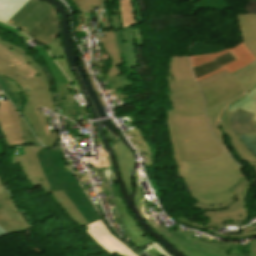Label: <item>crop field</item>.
<instances>
[{"mask_svg":"<svg viewBox=\"0 0 256 256\" xmlns=\"http://www.w3.org/2000/svg\"><path fill=\"white\" fill-rule=\"evenodd\" d=\"M168 98L172 106L175 140L180 161H199L224 153L208 129L203 96L193 78L172 81L171 61Z\"/></svg>","mask_w":256,"mask_h":256,"instance_id":"crop-field-1","label":"crop field"},{"mask_svg":"<svg viewBox=\"0 0 256 256\" xmlns=\"http://www.w3.org/2000/svg\"><path fill=\"white\" fill-rule=\"evenodd\" d=\"M181 165L190 196L203 203H217L234 196L228 189L244 173L226 153L206 161L181 162Z\"/></svg>","mask_w":256,"mask_h":256,"instance_id":"crop-field-2","label":"crop field"},{"mask_svg":"<svg viewBox=\"0 0 256 256\" xmlns=\"http://www.w3.org/2000/svg\"><path fill=\"white\" fill-rule=\"evenodd\" d=\"M198 84L204 94L206 118L215 138L235 161L244 167L226 146L218 120L231 104L244 97L246 92L256 85V60L231 74L224 70Z\"/></svg>","mask_w":256,"mask_h":256,"instance_id":"crop-field-3","label":"crop field"},{"mask_svg":"<svg viewBox=\"0 0 256 256\" xmlns=\"http://www.w3.org/2000/svg\"><path fill=\"white\" fill-rule=\"evenodd\" d=\"M36 155L53 192L62 189L86 222L90 223L101 218L74 174L64 171L60 150L54 151L42 148Z\"/></svg>","mask_w":256,"mask_h":256,"instance_id":"crop-field-4","label":"crop field"},{"mask_svg":"<svg viewBox=\"0 0 256 256\" xmlns=\"http://www.w3.org/2000/svg\"><path fill=\"white\" fill-rule=\"evenodd\" d=\"M250 186L251 183L244 174L241 181L234 188L230 189L236 194L233 198L217 204L194 203L192 206L204 211L205 213L202 216L209 218V221L205 225L196 221L192 223L180 217L175 220L206 232H212L211 229H221L227 225L240 226L248 217L246 200L249 195Z\"/></svg>","mask_w":256,"mask_h":256,"instance_id":"crop-field-5","label":"crop field"},{"mask_svg":"<svg viewBox=\"0 0 256 256\" xmlns=\"http://www.w3.org/2000/svg\"><path fill=\"white\" fill-rule=\"evenodd\" d=\"M133 202L136 205L139 214L148 223V225L185 256H236L238 241H231L227 243L213 242L211 245H208L197 240L198 242L195 244L186 238L193 233V231L189 230L188 232L181 234L170 228L166 229L162 225L155 227L142 207L150 204H147L140 188L135 192ZM250 252L251 256H256V239H250Z\"/></svg>","mask_w":256,"mask_h":256,"instance_id":"crop-field-6","label":"crop field"},{"mask_svg":"<svg viewBox=\"0 0 256 256\" xmlns=\"http://www.w3.org/2000/svg\"><path fill=\"white\" fill-rule=\"evenodd\" d=\"M25 155L12 157L11 164L18 163L21 167L24 175L32 184L33 187L40 186L45 194L51 192L43 173L40 169L38 160L35 153L39 151L42 147L40 146H28L22 147ZM52 193V192H51ZM58 204L65 210V212L74 220V222L79 226L88 224L84 221L79 212L71 204L62 190L52 193Z\"/></svg>","mask_w":256,"mask_h":256,"instance_id":"crop-field-7","label":"crop field"},{"mask_svg":"<svg viewBox=\"0 0 256 256\" xmlns=\"http://www.w3.org/2000/svg\"><path fill=\"white\" fill-rule=\"evenodd\" d=\"M111 191L114 197V203L117 207L118 213L122 220V223L128 233L129 242L132 243L135 247L140 245L150 243L161 255L163 256H172L170 255L163 247L152 241L144 234L141 229L138 227L136 222L130 216L125 204L124 200L119 192L117 182L110 185ZM131 244V245H132Z\"/></svg>","mask_w":256,"mask_h":256,"instance_id":"crop-field-8","label":"crop field"},{"mask_svg":"<svg viewBox=\"0 0 256 256\" xmlns=\"http://www.w3.org/2000/svg\"><path fill=\"white\" fill-rule=\"evenodd\" d=\"M54 8L40 0H29L8 22L26 35Z\"/></svg>","mask_w":256,"mask_h":256,"instance_id":"crop-field-9","label":"crop field"},{"mask_svg":"<svg viewBox=\"0 0 256 256\" xmlns=\"http://www.w3.org/2000/svg\"><path fill=\"white\" fill-rule=\"evenodd\" d=\"M85 234L111 256L116 253L120 256H139L116 239L104 226V222L102 220H98L87 225L85 228Z\"/></svg>","mask_w":256,"mask_h":256,"instance_id":"crop-field-10","label":"crop field"},{"mask_svg":"<svg viewBox=\"0 0 256 256\" xmlns=\"http://www.w3.org/2000/svg\"><path fill=\"white\" fill-rule=\"evenodd\" d=\"M114 35L124 64L126 65L128 72L131 74L132 80H135L136 78L131 67L138 66L135 48L143 45L141 29L140 27L136 29L127 27L119 32H114Z\"/></svg>","mask_w":256,"mask_h":256,"instance_id":"crop-field-11","label":"crop field"},{"mask_svg":"<svg viewBox=\"0 0 256 256\" xmlns=\"http://www.w3.org/2000/svg\"><path fill=\"white\" fill-rule=\"evenodd\" d=\"M1 93L0 98L5 97ZM5 99L0 101V132L8 147L23 145L16 110L6 97Z\"/></svg>","mask_w":256,"mask_h":256,"instance_id":"crop-field-12","label":"crop field"},{"mask_svg":"<svg viewBox=\"0 0 256 256\" xmlns=\"http://www.w3.org/2000/svg\"><path fill=\"white\" fill-rule=\"evenodd\" d=\"M231 51L235 57L238 59L234 62H231L225 66H223L224 68L218 70V71H215L211 74H208L204 77H201L199 79H197L196 81H199L201 79H204L206 77H209L211 75H214L224 69H226L229 73L232 72V71H235L237 69H240L248 64H250L253 60H255L256 58L250 53V51L247 49V47L244 45V43H239L237 44L236 46L232 47V48H229L227 50H224L218 54H211V55H201V56H190L191 58V63H192V68L193 67H196V66H199V65H202L204 63H207V62H210V61H213L212 59L221 55V54H224L226 52H229Z\"/></svg>","mask_w":256,"mask_h":256,"instance_id":"crop-field-13","label":"crop field"},{"mask_svg":"<svg viewBox=\"0 0 256 256\" xmlns=\"http://www.w3.org/2000/svg\"><path fill=\"white\" fill-rule=\"evenodd\" d=\"M26 94L30 98V100L35 108V111L37 113V116H38L39 120L41 121L44 131L46 133V135L40 136V137H38V139L41 141L42 144L46 145L47 147H52L53 142L58 140L57 131L48 133V123H47V121H44V118H47V117L38 113V111H37V109L42 106L54 111L50 96H49L47 90L30 92V93H26Z\"/></svg>","mask_w":256,"mask_h":256,"instance_id":"crop-field-14","label":"crop field"},{"mask_svg":"<svg viewBox=\"0 0 256 256\" xmlns=\"http://www.w3.org/2000/svg\"><path fill=\"white\" fill-rule=\"evenodd\" d=\"M0 74L14 79L25 92L46 89L39 76L26 79L10 62L0 56Z\"/></svg>","mask_w":256,"mask_h":256,"instance_id":"crop-field-15","label":"crop field"},{"mask_svg":"<svg viewBox=\"0 0 256 256\" xmlns=\"http://www.w3.org/2000/svg\"><path fill=\"white\" fill-rule=\"evenodd\" d=\"M112 149L118 161L120 175L123 179L126 189L128 193H131L132 186L130 182V172L134 166L135 156L121 141H118L115 145H113Z\"/></svg>","mask_w":256,"mask_h":256,"instance_id":"crop-field-16","label":"crop field"},{"mask_svg":"<svg viewBox=\"0 0 256 256\" xmlns=\"http://www.w3.org/2000/svg\"><path fill=\"white\" fill-rule=\"evenodd\" d=\"M0 208V227L7 233L30 229L24 216L20 212H13L2 199Z\"/></svg>","mask_w":256,"mask_h":256,"instance_id":"crop-field-17","label":"crop field"},{"mask_svg":"<svg viewBox=\"0 0 256 256\" xmlns=\"http://www.w3.org/2000/svg\"><path fill=\"white\" fill-rule=\"evenodd\" d=\"M232 113L224 112L219 120V125L223 132H225L236 152V154L256 172V157L249 152V150L241 143L240 139L236 137L229 128L228 120Z\"/></svg>","mask_w":256,"mask_h":256,"instance_id":"crop-field-18","label":"crop field"},{"mask_svg":"<svg viewBox=\"0 0 256 256\" xmlns=\"http://www.w3.org/2000/svg\"><path fill=\"white\" fill-rule=\"evenodd\" d=\"M241 39L256 57V14H237Z\"/></svg>","mask_w":256,"mask_h":256,"instance_id":"crop-field-19","label":"crop field"},{"mask_svg":"<svg viewBox=\"0 0 256 256\" xmlns=\"http://www.w3.org/2000/svg\"><path fill=\"white\" fill-rule=\"evenodd\" d=\"M107 26H108L109 31L104 32L106 37L99 38V41L103 45L106 53L109 55V57L111 59V62H112L111 68H110L106 77L120 74V73L117 72L118 69H116L115 66L123 64L121 56L118 52L116 40H115V37L113 35V30H112L109 23H107Z\"/></svg>","mask_w":256,"mask_h":256,"instance_id":"crop-field-20","label":"crop field"},{"mask_svg":"<svg viewBox=\"0 0 256 256\" xmlns=\"http://www.w3.org/2000/svg\"><path fill=\"white\" fill-rule=\"evenodd\" d=\"M253 115L254 114L243 111L239 108L233 112L229 123L233 133L236 136L256 131L252 124Z\"/></svg>","mask_w":256,"mask_h":256,"instance_id":"crop-field-21","label":"crop field"},{"mask_svg":"<svg viewBox=\"0 0 256 256\" xmlns=\"http://www.w3.org/2000/svg\"><path fill=\"white\" fill-rule=\"evenodd\" d=\"M45 48L52 55V57L55 59L58 65L65 72V74L68 76V78L70 79V81L72 82L76 90L78 91V93L81 94L82 92L78 85V82L68 70L67 61L65 59L62 47L60 45V36L52 40L48 45L45 46Z\"/></svg>","mask_w":256,"mask_h":256,"instance_id":"crop-field-22","label":"crop field"},{"mask_svg":"<svg viewBox=\"0 0 256 256\" xmlns=\"http://www.w3.org/2000/svg\"><path fill=\"white\" fill-rule=\"evenodd\" d=\"M0 42H2L3 44H5L9 48H11L13 51H15L23 60L27 61L30 65H32L38 71V73L43 78V80H44V82H45V84H46V86L48 88V91L50 93V96L52 98V101L54 103L53 91H52V88H51V84H50L49 78L46 75L45 70L40 65V63L36 59H34L28 52H26L25 50H23V49L15 46V45L7 42L2 37H0Z\"/></svg>","mask_w":256,"mask_h":256,"instance_id":"crop-field-23","label":"crop field"},{"mask_svg":"<svg viewBox=\"0 0 256 256\" xmlns=\"http://www.w3.org/2000/svg\"><path fill=\"white\" fill-rule=\"evenodd\" d=\"M214 60L215 61H213V62L193 68L192 72H193L195 79L222 68L221 66H223L231 61L236 60V58L233 56V54L231 52H229V53L224 54Z\"/></svg>","mask_w":256,"mask_h":256,"instance_id":"crop-field-24","label":"crop field"},{"mask_svg":"<svg viewBox=\"0 0 256 256\" xmlns=\"http://www.w3.org/2000/svg\"><path fill=\"white\" fill-rule=\"evenodd\" d=\"M0 54L10 61L26 78L38 75L32 67L23 62L15 53L1 44Z\"/></svg>","mask_w":256,"mask_h":256,"instance_id":"crop-field-25","label":"crop field"},{"mask_svg":"<svg viewBox=\"0 0 256 256\" xmlns=\"http://www.w3.org/2000/svg\"><path fill=\"white\" fill-rule=\"evenodd\" d=\"M24 96L27 100V103L23 104V111H21L22 117L25 119V121L29 124V126L32 128L34 134L36 137L45 134L43 131V128L34 112V108L29 101V98L24 93Z\"/></svg>","mask_w":256,"mask_h":256,"instance_id":"crop-field-26","label":"crop field"},{"mask_svg":"<svg viewBox=\"0 0 256 256\" xmlns=\"http://www.w3.org/2000/svg\"><path fill=\"white\" fill-rule=\"evenodd\" d=\"M125 135H132L133 138L129 139L134 146L137 145V147L140 148L143 155L146 157L147 164H145V167L148 168L151 165H153V160L151 156V151L149 146L146 143V140L139 128L125 132Z\"/></svg>","mask_w":256,"mask_h":256,"instance_id":"crop-field-27","label":"crop field"},{"mask_svg":"<svg viewBox=\"0 0 256 256\" xmlns=\"http://www.w3.org/2000/svg\"><path fill=\"white\" fill-rule=\"evenodd\" d=\"M38 54L44 59V61L46 62L55 85L58 84H64V83H68L69 80L65 77V75L62 73V71L58 68V66L54 63V61L52 60V58L49 56V54L47 53L46 50H44L42 47L38 46L36 48H34Z\"/></svg>","mask_w":256,"mask_h":256,"instance_id":"crop-field-28","label":"crop field"},{"mask_svg":"<svg viewBox=\"0 0 256 256\" xmlns=\"http://www.w3.org/2000/svg\"><path fill=\"white\" fill-rule=\"evenodd\" d=\"M172 77H173V80L193 77L190 71L188 56L173 58Z\"/></svg>","mask_w":256,"mask_h":256,"instance_id":"crop-field-29","label":"crop field"},{"mask_svg":"<svg viewBox=\"0 0 256 256\" xmlns=\"http://www.w3.org/2000/svg\"><path fill=\"white\" fill-rule=\"evenodd\" d=\"M28 0H0V20L6 23Z\"/></svg>","mask_w":256,"mask_h":256,"instance_id":"crop-field-30","label":"crop field"},{"mask_svg":"<svg viewBox=\"0 0 256 256\" xmlns=\"http://www.w3.org/2000/svg\"><path fill=\"white\" fill-rule=\"evenodd\" d=\"M254 97H256V86L248 91L243 99L230 106L227 111L233 112L239 107L243 110L255 113L253 121H256V100L253 99Z\"/></svg>","mask_w":256,"mask_h":256,"instance_id":"crop-field-31","label":"crop field"},{"mask_svg":"<svg viewBox=\"0 0 256 256\" xmlns=\"http://www.w3.org/2000/svg\"><path fill=\"white\" fill-rule=\"evenodd\" d=\"M57 35H59L58 17L50 25H48L34 40L44 47Z\"/></svg>","mask_w":256,"mask_h":256,"instance_id":"crop-field-32","label":"crop field"},{"mask_svg":"<svg viewBox=\"0 0 256 256\" xmlns=\"http://www.w3.org/2000/svg\"><path fill=\"white\" fill-rule=\"evenodd\" d=\"M119 8L121 12V18L123 26H132L135 24L132 7L129 0H119Z\"/></svg>","mask_w":256,"mask_h":256,"instance_id":"crop-field-33","label":"crop field"},{"mask_svg":"<svg viewBox=\"0 0 256 256\" xmlns=\"http://www.w3.org/2000/svg\"><path fill=\"white\" fill-rule=\"evenodd\" d=\"M56 17H57V14H56V10L54 9L27 36L34 39Z\"/></svg>","mask_w":256,"mask_h":256,"instance_id":"crop-field-34","label":"crop field"},{"mask_svg":"<svg viewBox=\"0 0 256 256\" xmlns=\"http://www.w3.org/2000/svg\"><path fill=\"white\" fill-rule=\"evenodd\" d=\"M55 90H56L57 102L69 100L70 103H74L73 101H75V100H74L73 96L71 95L66 84L55 86ZM62 111H63V109H62ZM63 115L66 116L64 111H63Z\"/></svg>","mask_w":256,"mask_h":256,"instance_id":"crop-field-35","label":"crop field"},{"mask_svg":"<svg viewBox=\"0 0 256 256\" xmlns=\"http://www.w3.org/2000/svg\"><path fill=\"white\" fill-rule=\"evenodd\" d=\"M170 111H167V126L169 128L171 144H172V148H173V152H174V158H175V160L178 164V175H179V178H183V175H182V172H181V166H180V163H179L177 148H176L175 141H174V132H173V126H172V119H171Z\"/></svg>","mask_w":256,"mask_h":256,"instance_id":"crop-field-36","label":"crop field"},{"mask_svg":"<svg viewBox=\"0 0 256 256\" xmlns=\"http://www.w3.org/2000/svg\"><path fill=\"white\" fill-rule=\"evenodd\" d=\"M0 86L7 97L12 101V103L17 107L18 111L22 110V103L19 95H12L9 87L7 86L3 77L0 76Z\"/></svg>","mask_w":256,"mask_h":256,"instance_id":"crop-field-37","label":"crop field"},{"mask_svg":"<svg viewBox=\"0 0 256 256\" xmlns=\"http://www.w3.org/2000/svg\"><path fill=\"white\" fill-rule=\"evenodd\" d=\"M18 113V112H17ZM18 118H19V123H20V127H21V132H22V137H23V142L25 143H31V142H36L39 143L35 137L33 136V134L30 132V130L28 129L27 125L25 124V122L22 120V118L19 116L18 114ZM40 144V143H39Z\"/></svg>","mask_w":256,"mask_h":256,"instance_id":"crop-field-38","label":"crop field"},{"mask_svg":"<svg viewBox=\"0 0 256 256\" xmlns=\"http://www.w3.org/2000/svg\"><path fill=\"white\" fill-rule=\"evenodd\" d=\"M242 143L256 155V132L239 137Z\"/></svg>","mask_w":256,"mask_h":256,"instance_id":"crop-field-39","label":"crop field"},{"mask_svg":"<svg viewBox=\"0 0 256 256\" xmlns=\"http://www.w3.org/2000/svg\"><path fill=\"white\" fill-rule=\"evenodd\" d=\"M226 238H245V237H252L256 236V224L246 227L241 230V235H226V234H214Z\"/></svg>","mask_w":256,"mask_h":256,"instance_id":"crop-field-40","label":"crop field"},{"mask_svg":"<svg viewBox=\"0 0 256 256\" xmlns=\"http://www.w3.org/2000/svg\"><path fill=\"white\" fill-rule=\"evenodd\" d=\"M67 4H69L71 1L78 7L80 13H87L91 12V8L87 2V0H65ZM70 7V6H69ZM72 12L74 11V8L70 7ZM74 13V12H73Z\"/></svg>","mask_w":256,"mask_h":256,"instance_id":"crop-field-41","label":"crop field"},{"mask_svg":"<svg viewBox=\"0 0 256 256\" xmlns=\"http://www.w3.org/2000/svg\"><path fill=\"white\" fill-rule=\"evenodd\" d=\"M0 198H2L13 211H18L12 198L7 193L0 178Z\"/></svg>","mask_w":256,"mask_h":256,"instance_id":"crop-field-42","label":"crop field"},{"mask_svg":"<svg viewBox=\"0 0 256 256\" xmlns=\"http://www.w3.org/2000/svg\"><path fill=\"white\" fill-rule=\"evenodd\" d=\"M61 104H62L67 116H71V115L77 116V115H79L78 112L76 111V109L73 107V105L72 104L70 105L68 101L62 102Z\"/></svg>","mask_w":256,"mask_h":256,"instance_id":"crop-field-43","label":"crop field"},{"mask_svg":"<svg viewBox=\"0 0 256 256\" xmlns=\"http://www.w3.org/2000/svg\"><path fill=\"white\" fill-rule=\"evenodd\" d=\"M111 19H112L111 25L113 26L115 31L123 28L120 16L111 17Z\"/></svg>","mask_w":256,"mask_h":256,"instance_id":"crop-field-44","label":"crop field"},{"mask_svg":"<svg viewBox=\"0 0 256 256\" xmlns=\"http://www.w3.org/2000/svg\"><path fill=\"white\" fill-rule=\"evenodd\" d=\"M5 79H6V81H7V83H8V85H9V87H10V89H11L13 94L23 93L15 82H13V81H11V80H9L7 78H5Z\"/></svg>","mask_w":256,"mask_h":256,"instance_id":"crop-field-45","label":"crop field"},{"mask_svg":"<svg viewBox=\"0 0 256 256\" xmlns=\"http://www.w3.org/2000/svg\"><path fill=\"white\" fill-rule=\"evenodd\" d=\"M237 256H250L249 246H240L239 243Z\"/></svg>","mask_w":256,"mask_h":256,"instance_id":"crop-field-46","label":"crop field"},{"mask_svg":"<svg viewBox=\"0 0 256 256\" xmlns=\"http://www.w3.org/2000/svg\"><path fill=\"white\" fill-rule=\"evenodd\" d=\"M0 28L5 30V31H7V32H9V33H11V34H13V35L19 31V30L15 29V28L10 27V26H8L6 24H3V23H0Z\"/></svg>","mask_w":256,"mask_h":256,"instance_id":"crop-field-47","label":"crop field"},{"mask_svg":"<svg viewBox=\"0 0 256 256\" xmlns=\"http://www.w3.org/2000/svg\"><path fill=\"white\" fill-rule=\"evenodd\" d=\"M90 5L101 6V0H88Z\"/></svg>","mask_w":256,"mask_h":256,"instance_id":"crop-field-48","label":"crop field"},{"mask_svg":"<svg viewBox=\"0 0 256 256\" xmlns=\"http://www.w3.org/2000/svg\"><path fill=\"white\" fill-rule=\"evenodd\" d=\"M134 1H135L136 9H137V12H138L139 20H140V22H142L137 0H134Z\"/></svg>","mask_w":256,"mask_h":256,"instance_id":"crop-field-49","label":"crop field"},{"mask_svg":"<svg viewBox=\"0 0 256 256\" xmlns=\"http://www.w3.org/2000/svg\"><path fill=\"white\" fill-rule=\"evenodd\" d=\"M5 234V232L0 228V236Z\"/></svg>","mask_w":256,"mask_h":256,"instance_id":"crop-field-50","label":"crop field"},{"mask_svg":"<svg viewBox=\"0 0 256 256\" xmlns=\"http://www.w3.org/2000/svg\"><path fill=\"white\" fill-rule=\"evenodd\" d=\"M110 1H112V0H102V2H110Z\"/></svg>","mask_w":256,"mask_h":256,"instance_id":"crop-field-51","label":"crop field"},{"mask_svg":"<svg viewBox=\"0 0 256 256\" xmlns=\"http://www.w3.org/2000/svg\"><path fill=\"white\" fill-rule=\"evenodd\" d=\"M254 126L256 127V122H253Z\"/></svg>","mask_w":256,"mask_h":256,"instance_id":"crop-field-52","label":"crop field"},{"mask_svg":"<svg viewBox=\"0 0 256 256\" xmlns=\"http://www.w3.org/2000/svg\"><path fill=\"white\" fill-rule=\"evenodd\" d=\"M256 99V98H255Z\"/></svg>","mask_w":256,"mask_h":256,"instance_id":"crop-field-53","label":"crop field"}]
</instances>
